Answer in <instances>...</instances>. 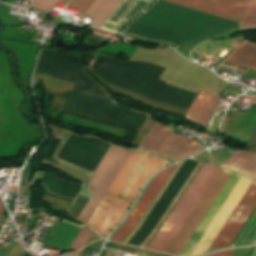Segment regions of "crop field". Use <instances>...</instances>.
Wrapping results in <instances>:
<instances>
[{
    "label": "crop field",
    "instance_id": "8a807250",
    "mask_svg": "<svg viewBox=\"0 0 256 256\" xmlns=\"http://www.w3.org/2000/svg\"><path fill=\"white\" fill-rule=\"evenodd\" d=\"M153 2L241 26L252 0H153ZM153 2L132 18L121 29L120 34L147 42L168 44L178 50L239 27Z\"/></svg>",
    "mask_w": 256,
    "mask_h": 256
},
{
    "label": "crop field",
    "instance_id": "ac0d7876",
    "mask_svg": "<svg viewBox=\"0 0 256 256\" xmlns=\"http://www.w3.org/2000/svg\"><path fill=\"white\" fill-rule=\"evenodd\" d=\"M223 171H227L224 170ZM221 171L217 179L214 181L206 195L203 197L195 211L192 213L176 239L172 242V244L165 251L166 253L174 254L175 256H179L230 178L231 180L183 250L180 256H189L195 245L198 243L214 217L217 215L233 189L236 187L242 175L237 173L227 171L230 173H226ZM253 179L243 176L235 190L232 192L216 218L213 220L197 246L194 248L190 256H199L205 253L208 249L230 214L233 212L251 183ZM256 207V180L252 183L232 215L229 217L209 249L213 248H223L229 247L237 233L240 231L254 208Z\"/></svg>",
    "mask_w": 256,
    "mask_h": 256
},
{
    "label": "crop field",
    "instance_id": "34b2d1b8",
    "mask_svg": "<svg viewBox=\"0 0 256 256\" xmlns=\"http://www.w3.org/2000/svg\"><path fill=\"white\" fill-rule=\"evenodd\" d=\"M174 163L157 155L132 151L108 192L88 222L94 231L106 238L120 222L149 176Z\"/></svg>",
    "mask_w": 256,
    "mask_h": 256
},
{
    "label": "crop field",
    "instance_id": "412701ff",
    "mask_svg": "<svg viewBox=\"0 0 256 256\" xmlns=\"http://www.w3.org/2000/svg\"><path fill=\"white\" fill-rule=\"evenodd\" d=\"M94 0H72L69 5L82 9L83 14ZM122 0H96L85 14L97 17L94 26L100 27ZM149 2L142 0H123L101 28L117 32L134 14L142 10ZM119 32V31H118Z\"/></svg>",
    "mask_w": 256,
    "mask_h": 256
},
{
    "label": "crop field",
    "instance_id": "f4fd0767",
    "mask_svg": "<svg viewBox=\"0 0 256 256\" xmlns=\"http://www.w3.org/2000/svg\"><path fill=\"white\" fill-rule=\"evenodd\" d=\"M178 164L160 172L151 182L145 193L142 195L138 203L135 205L130 215L110 240L123 243L124 240L137 226L157 194L160 192L174 169Z\"/></svg>",
    "mask_w": 256,
    "mask_h": 256
},
{
    "label": "crop field",
    "instance_id": "dd49c442",
    "mask_svg": "<svg viewBox=\"0 0 256 256\" xmlns=\"http://www.w3.org/2000/svg\"><path fill=\"white\" fill-rule=\"evenodd\" d=\"M212 169V166H208L203 164L181 199L178 201L158 233L155 235V237L151 240V242L147 245V249L155 250L157 246L163 241V239L167 236L169 231L171 230L172 226L206 177V175L209 173V171Z\"/></svg>",
    "mask_w": 256,
    "mask_h": 256
},
{
    "label": "crop field",
    "instance_id": "e52e79f7",
    "mask_svg": "<svg viewBox=\"0 0 256 256\" xmlns=\"http://www.w3.org/2000/svg\"><path fill=\"white\" fill-rule=\"evenodd\" d=\"M220 171L221 168L213 167V169L211 170V172L209 173V175L207 176V178L205 179V181L203 182V184L201 185L193 199L190 201V203L188 204V206L186 207V209L184 210V212L182 213V215L180 216V218L178 219V221L176 222L168 236L158 246V248L156 249L157 251L164 252L166 248L171 244V242L175 239V237L177 236V234L179 233V231L181 230V228L183 227L191 213L194 211V209L196 208V206L198 205L206 191L209 189V187L211 186V184L213 183V181L215 180Z\"/></svg>",
    "mask_w": 256,
    "mask_h": 256
},
{
    "label": "crop field",
    "instance_id": "d8731c3e",
    "mask_svg": "<svg viewBox=\"0 0 256 256\" xmlns=\"http://www.w3.org/2000/svg\"><path fill=\"white\" fill-rule=\"evenodd\" d=\"M221 96L201 90L188 108L184 118L205 128Z\"/></svg>",
    "mask_w": 256,
    "mask_h": 256
},
{
    "label": "crop field",
    "instance_id": "5a996713",
    "mask_svg": "<svg viewBox=\"0 0 256 256\" xmlns=\"http://www.w3.org/2000/svg\"><path fill=\"white\" fill-rule=\"evenodd\" d=\"M109 149V148H108ZM123 148L118 146L111 145L110 149L106 153L105 157L101 161L100 165L96 169L95 173L91 177L90 181L87 185H89V189L87 190V193L92 194L91 198L85 205L84 209L80 213L77 219L80 220L81 216L85 212L86 208L88 207L89 203L93 199L94 195L96 194L97 190L101 186L102 182L106 178L107 174L109 173L110 169L114 165L115 161L117 160L118 156L122 152Z\"/></svg>",
    "mask_w": 256,
    "mask_h": 256
},
{
    "label": "crop field",
    "instance_id": "3316defc",
    "mask_svg": "<svg viewBox=\"0 0 256 256\" xmlns=\"http://www.w3.org/2000/svg\"><path fill=\"white\" fill-rule=\"evenodd\" d=\"M189 141L186 136L170 133L158 154L180 160L204 149L198 145L192 149L186 147Z\"/></svg>",
    "mask_w": 256,
    "mask_h": 256
},
{
    "label": "crop field",
    "instance_id": "28ad6ade",
    "mask_svg": "<svg viewBox=\"0 0 256 256\" xmlns=\"http://www.w3.org/2000/svg\"><path fill=\"white\" fill-rule=\"evenodd\" d=\"M131 150H128L126 148H124L123 152L121 153V155L119 156L118 160L116 161L115 165L113 166V168L111 169L110 173L108 174L107 178L105 179V181L103 182L102 186L100 187L99 191L97 192V194L95 195L94 199L92 200L91 204L89 205V207L87 208L86 212L84 213V215L81 218V221L87 223L88 220L90 219V217L92 216L93 212L95 211V209L97 208L98 204L100 203V201L102 200L103 196L105 195V193L107 192L108 188L110 187L111 183L113 182V180L115 179L116 175L118 174V172L120 171L121 167L123 166V164L125 163L126 159L128 158V156L130 155Z\"/></svg>",
    "mask_w": 256,
    "mask_h": 256
},
{
    "label": "crop field",
    "instance_id": "d1516ede",
    "mask_svg": "<svg viewBox=\"0 0 256 256\" xmlns=\"http://www.w3.org/2000/svg\"><path fill=\"white\" fill-rule=\"evenodd\" d=\"M221 167L256 178V154L236 150Z\"/></svg>",
    "mask_w": 256,
    "mask_h": 256
},
{
    "label": "crop field",
    "instance_id": "22f410ed",
    "mask_svg": "<svg viewBox=\"0 0 256 256\" xmlns=\"http://www.w3.org/2000/svg\"><path fill=\"white\" fill-rule=\"evenodd\" d=\"M80 229L81 226L63 219L56 231L49 238L47 245L68 250Z\"/></svg>",
    "mask_w": 256,
    "mask_h": 256
},
{
    "label": "crop field",
    "instance_id": "cbeb9de0",
    "mask_svg": "<svg viewBox=\"0 0 256 256\" xmlns=\"http://www.w3.org/2000/svg\"><path fill=\"white\" fill-rule=\"evenodd\" d=\"M171 130L172 128L162 126L156 122L153 128L143 139L140 144V148L157 153Z\"/></svg>",
    "mask_w": 256,
    "mask_h": 256
},
{
    "label": "crop field",
    "instance_id": "5142ce71",
    "mask_svg": "<svg viewBox=\"0 0 256 256\" xmlns=\"http://www.w3.org/2000/svg\"><path fill=\"white\" fill-rule=\"evenodd\" d=\"M226 61L242 64L256 69V45L245 41Z\"/></svg>",
    "mask_w": 256,
    "mask_h": 256
},
{
    "label": "crop field",
    "instance_id": "d9b57169",
    "mask_svg": "<svg viewBox=\"0 0 256 256\" xmlns=\"http://www.w3.org/2000/svg\"><path fill=\"white\" fill-rule=\"evenodd\" d=\"M183 162L179 163V165L177 166V168L175 169V171L173 172V174L171 175V177L169 178V180L167 181V183L165 184V186L163 187V189L161 190V192L159 193V195L156 197V199L154 200V202L152 203V205L150 206V208L148 209V211L146 212V214L144 215V217L142 218V220L140 221V223L138 224V226L135 228V230L130 234V236L125 240L124 244L127 243V241L132 237V235L137 231V229L140 227V225L142 224V222L144 221V219L146 218V216L148 215V213L150 212V210L152 209V207L154 206V204L156 203V201L158 200V198L160 197V195L163 193V191L165 190V188L167 187V185L169 184V182L171 181V179L173 178V176L175 175V173L177 172V170L179 169V167L181 166ZM201 166L200 163H198V165L196 166V168L194 169V171L192 172V174L190 175V177L188 178V180L186 181V183L184 184V186L182 187V189L180 190V192L178 193V195L176 196V198L174 199V201L172 202V204L170 205V207L168 208V210L166 211V213L164 214V216L162 217V219L160 220V222L158 223V225L156 226V228L154 229V231L151 233V235L147 238V240L142 244V248H144V246L147 244V242L150 240V238L153 236V234L156 232V230L158 229V227L160 226V224L162 223V221L165 219V217L167 216V214L169 213V211L171 210V208L173 207V205L175 204V202L177 201V199L180 197V195L182 194V192L184 191V189L186 188V186L188 185V183L190 182V180L192 179V177L195 175V173L197 172V170L199 169V167Z\"/></svg>",
    "mask_w": 256,
    "mask_h": 256
},
{
    "label": "crop field",
    "instance_id": "733c2abd",
    "mask_svg": "<svg viewBox=\"0 0 256 256\" xmlns=\"http://www.w3.org/2000/svg\"><path fill=\"white\" fill-rule=\"evenodd\" d=\"M256 240V209L231 246L253 243Z\"/></svg>",
    "mask_w": 256,
    "mask_h": 256
},
{
    "label": "crop field",
    "instance_id": "4a817a6b",
    "mask_svg": "<svg viewBox=\"0 0 256 256\" xmlns=\"http://www.w3.org/2000/svg\"><path fill=\"white\" fill-rule=\"evenodd\" d=\"M60 0H34L33 4L31 7H34L36 9L42 10V11H48L52 8L55 7V5L59 2ZM70 0H61L60 2L67 4Z\"/></svg>",
    "mask_w": 256,
    "mask_h": 256
},
{
    "label": "crop field",
    "instance_id": "bc2a9ffb",
    "mask_svg": "<svg viewBox=\"0 0 256 256\" xmlns=\"http://www.w3.org/2000/svg\"><path fill=\"white\" fill-rule=\"evenodd\" d=\"M89 231L90 230L84 226L69 250H77L78 248L83 247L86 244L90 234L92 233Z\"/></svg>",
    "mask_w": 256,
    "mask_h": 256
},
{
    "label": "crop field",
    "instance_id": "214f88e0",
    "mask_svg": "<svg viewBox=\"0 0 256 256\" xmlns=\"http://www.w3.org/2000/svg\"><path fill=\"white\" fill-rule=\"evenodd\" d=\"M256 26V0H253L251 9L242 25V27Z\"/></svg>",
    "mask_w": 256,
    "mask_h": 256
},
{
    "label": "crop field",
    "instance_id": "92a150f3",
    "mask_svg": "<svg viewBox=\"0 0 256 256\" xmlns=\"http://www.w3.org/2000/svg\"><path fill=\"white\" fill-rule=\"evenodd\" d=\"M43 200H45L53 205H56L58 207L64 208L66 210H68V208L71 204V201H67V200H63V199H59V198H55V197H51V196H47V195H45Z\"/></svg>",
    "mask_w": 256,
    "mask_h": 256
},
{
    "label": "crop field",
    "instance_id": "dafd665d",
    "mask_svg": "<svg viewBox=\"0 0 256 256\" xmlns=\"http://www.w3.org/2000/svg\"><path fill=\"white\" fill-rule=\"evenodd\" d=\"M232 251H233V249L224 250V251L217 252V253H214V254H211V255H207V256H230Z\"/></svg>",
    "mask_w": 256,
    "mask_h": 256
},
{
    "label": "crop field",
    "instance_id": "00972430",
    "mask_svg": "<svg viewBox=\"0 0 256 256\" xmlns=\"http://www.w3.org/2000/svg\"><path fill=\"white\" fill-rule=\"evenodd\" d=\"M3 207H4V205H3V203H2V201H1V199H0V215H1V213H2Z\"/></svg>",
    "mask_w": 256,
    "mask_h": 256
},
{
    "label": "crop field",
    "instance_id": "a9b5d70f",
    "mask_svg": "<svg viewBox=\"0 0 256 256\" xmlns=\"http://www.w3.org/2000/svg\"><path fill=\"white\" fill-rule=\"evenodd\" d=\"M250 256H256V248L253 250Z\"/></svg>",
    "mask_w": 256,
    "mask_h": 256
}]
</instances>
